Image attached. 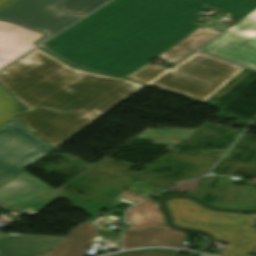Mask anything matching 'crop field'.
<instances>
[{
  "label": "crop field",
  "instance_id": "crop-field-1",
  "mask_svg": "<svg viewBox=\"0 0 256 256\" xmlns=\"http://www.w3.org/2000/svg\"><path fill=\"white\" fill-rule=\"evenodd\" d=\"M107 5V4H106ZM242 19L256 0H115L41 47L81 69L149 84L219 33L194 21L203 8Z\"/></svg>",
  "mask_w": 256,
  "mask_h": 256
},
{
  "label": "crop field",
  "instance_id": "crop-field-2",
  "mask_svg": "<svg viewBox=\"0 0 256 256\" xmlns=\"http://www.w3.org/2000/svg\"><path fill=\"white\" fill-rule=\"evenodd\" d=\"M0 84L28 108L24 127L56 148L144 86L74 70L38 48L2 69Z\"/></svg>",
  "mask_w": 256,
  "mask_h": 256
},
{
  "label": "crop field",
  "instance_id": "crop-field-3",
  "mask_svg": "<svg viewBox=\"0 0 256 256\" xmlns=\"http://www.w3.org/2000/svg\"><path fill=\"white\" fill-rule=\"evenodd\" d=\"M167 206L175 224L205 230L218 241L229 243L221 256H251L256 248V233L253 218L256 215H240L207 210L193 201L174 198ZM189 209H194L193 213Z\"/></svg>",
  "mask_w": 256,
  "mask_h": 256
},
{
  "label": "crop field",
  "instance_id": "crop-field-4",
  "mask_svg": "<svg viewBox=\"0 0 256 256\" xmlns=\"http://www.w3.org/2000/svg\"><path fill=\"white\" fill-rule=\"evenodd\" d=\"M244 67L197 52L151 85L204 102Z\"/></svg>",
  "mask_w": 256,
  "mask_h": 256
},
{
  "label": "crop field",
  "instance_id": "crop-field-5",
  "mask_svg": "<svg viewBox=\"0 0 256 256\" xmlns=\"http://www.w3.org/2000/svg\"><path fill=\"white\" fill-rule=\"evenodd\" d=\"M54 148L27 132L15 118L0 128V186Z\"/></svg>",
  "mask_w": 256,
  "mask_h": 256
},
{
  "label": "crop field",
  "instance_id": "crop-field-6",
  "mask_svg": "<svg viewBox=\"0 0 256 256\" xmlns=\"http://www.w3.org/2000/svg\"><path fill=\"white\" fill-rule=\"evenodd\" d=\"M66 0H17L0 11V19L18 23L26 28L42 31L46 38L63 30L85 15L64 14L55 9Z\"/></svg>",
  "mask_w": 256,
  "mask_h": 256
},
{
  "label": "crop field",
  "instance_id": "crop-field-7",
  "mask_svg": "<svg viewBox=\"0 0 256 256\" xmlns=\"http://www.w3.org/2000/svg\"><path fill=\"white\" fill-rule=\"evenodd\" d=\"M201 50L256 68V11L225 30L221 37Z\"/></svg>",
  "mask_w": 256,
  "mask_h": 256
},
{
  "label": "crop field",
  "instance_id": "crop-field-8",
  "mask_svg": "<svg viewBox=\"0 0 256 256\" xmlns=\"http://www.w3.org/2000/svg\"><path fill=\"white\" fill-rule=\"evenodd\" d=\"M40 33L0 21V68L35 47Z\"/></svg>",
  "mask_w": 256,
  "mask_h": 256
},
{
  "label": "crop field",
  "instance_id": "crop-field-9",
  "mask_svg": "<svg viewBox=\"0 0 256 256\" xmlns=\"http://www.w3.org/2000/svg\"><path fill=\"white\" fill-rule=\"evenodd\" d=\"M123 249L136 246L163 245L179 247L185 233L167 225L149 229L130 231L123 234Z\"/></svg>",
  "mask_w": 256,
  "mask_h": 256
},
{
  "label": "crop field",
  "instance_id": "crop-field-10",
  "mask_svg": "<svg viewBox=\"0 0 256 256\" xmlns=\"http://www.w3.org/2000/svg\"><path fill=\"white\" fill-rule=\"evenodd\" d=\"M96 233L97 230L87 221L72 229L63 243L46 256H82Z\"/></svg>",
  "mask_w": 256,
  "mask_h": 256
},
{
  "label": "crop field",
  "instance_id": "crop-field-11",
  "mask_svg": "<svg viewBox=\"0 0 256 256\" xmlns=\"http://www.w3.org/2000/svg\"><path fill=\"white\" fill-rule=\"evenodd\" d=\"M126 221L132 222L127 231L165 224L157 202L151 199L131 207L127 212Z\"/></svg>",
  "mask_w": 256,
  "mask_h": 256
},
{
  "label": "crop field",
  "instance_id": "crop-field-12",
  "mask_svg": "<svg viewBox=\"0 0 256 256\" xmlns=\"http://www.w3.org/2000/svg\"><path fill=\"white\" fill-rule=\"evenodd\" d=\"M108 0H68L57 9L71 14H84L88 13Z\"/></svg>",
  "mask_w": 256,
  "mask_h": 256
},
{
  "label": "crop field",
  "instance_id": "crop-field-13",
  "mask_svg": "<svg viewBox=\"0 0 256 256\" xmlns=\"http://www.w3.org/2000/svg\"><path fill=\"white\" fill-rule=\"evenodd\" d=\"M172 252L173 250L165 249H144L139 251H125L109 256H171Z\"/></svg>",
  "mask_w": 256,
  "mask_h": 256
},
{
  "label": "crop field",
  "instance_id": "crop-field-14",
  "mask_svg": "<svg viewBox=\"0 0 256 256\" xmlns=\"http://www.w3.org/2000/svg\"><path fill=\"white\" fill-rule=\"evenodd\" d=\"M21 111L22 110L0 105V125L8 121L9 119L15 117Z\"/></svg>",
  "mask_w": 256,
  "mask_h": 256
},
{
  "label": "crop field",
  "instance_id": "crop-field-15",
  "mask_svg": "<svg viewBox=\"0 0 256 256\" xmlns=\"http://www.w3.org/2000/svg\"><path fill=\"white\" fill-rule=\"evenodd\" d=\"M0 104L22 109V110L24 109L15 100H13L1 87H0Z\"/></svg>",
  "mask_w": 256,
  "mask_h": 256
},
{
  "label": "crop field",
  "instance_id": "crop-field-16",
  "mask_svg": "<svg viewBox=\"0 0 256 256\" xmlns=\"http://www.w3.org/2000/svg\"><path fill=\"white\" fill-rule=\"evenodd\" d=\"M119 196L123 197V198H126L127 200H137V201L145 198V197H142L140 195L134 194V193H132V192H130L128 190L124 191Z\"/></svg>",
  "mask_w": 256,
  "mask_h": 256
},
{
  "label": "crop field",
  "instance_id": "crop-field-17",
  "mask_svg": "<svg viewBox=\"0 0 256 256\" xmlns=\"http://www.w3.org/2000/svg\"><path fill=\"white\" fill-rule=\"evenodd\" d=\"M16 0H0V10L13 3Z\"/></svg>",
  "mask_w": 256,
  "mask_h": 256
},
{
  "label": "crop field",
  "instance_id": "crop-field-18",
  "mask_svg": "<svg viewBox=\"0 0 256 256\" xmlns=\"http://www.w3.org/2000/svg\"><path fill=\"white\" fill-rule=\"evenodd\" d=\"M14 211H16V210H14ZM18 212H22V211H18Z\"/></svg>",
  "mask_w": 256,
  "mask_h": 256
},
{
  "label": "crop field",
  "instance_id": "crop-field-19",
  "mask_svg": "<svg viewBox=\"0 0 256 256\" xmlns=\"http://www.w3.org/2000/svg\"><path fill=\"white\" fill-rule=\"evenodd\" d=\"M199 256H205V255H199Z\"/></svg>",
  "mask_w": 256,
  "mask_h": 256
}]
</instances>
